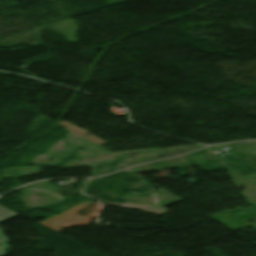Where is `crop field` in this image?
Returning a JSON list of instances; mask_svg holds the SVG:
<instances>
[{
  "mask_svg": "<svg viewBox=\"0 0 256 256\" xmlns=\"http://www.w3.org/2000/svg\"><path fill=\"white\" fill-rule=\"evenodd\" d=\"M18 213H15L5 207L0 206V222L4 221L10 217H13L15 215H17ZM7 240L4 237V235L2 234V232L0 231V256H3L6 254L5 252V248L9 247L7 245Z\"/></svg>",
  "mask_w": 256,
  "mask_h": 256,
  "instance_id": "crop-field-1",
  "label": "crop field"
}]
</instances>
